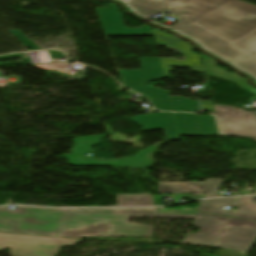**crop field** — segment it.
I'll return each instance as SVG.
<instances>
[{
  "label": "crop field",
  "instance_id": "8a807250",
  "mask_svg": "<svg viewBox=\"0 0 256 256\" xmlns=\"http://www.w3.org/2000/svg\"><path fill=\"white\" fill-rule=\"evenodd\" d=\"M148 18L158 12L177 15L172 28L256 76V6L240 0H131Z\"/></svg>",
  "mask_w": 256,
  "mask_h": 256
},
{
  "label": "crop field",
  "instance_id": "ac0d7876",
  "mask_svg": "<svg viewBox=\"0 0 256 256\" xmlns=\"http://www.w3.org/2000/svg\"><path fill=\"white\" fill-rule=\"evenodd\" d=\"M128 216L194 218V216L157 214L155 211L68 212L57 236L151 237V227L128 223L126 222Z\"/></svg>",
  "mask_w": 256,
  "mask_h": 256
},
{
  "label": "crop field",
  "instance_id": "34b2d1b8",
  "mask_svg": "<svg viewBox=\"0 0 256 256\" xmlns=\"http://www.w3.org/2000/svg\"><path fill=\"white\" fill-rule=\"evenodd\" d=\"M155 208H93V209H48L18 207L14 211L0 207V231L35 235L55 236L67 210H121Z\"/></svg>",
  "mask_w": 256,
  "mask_h": 256
},
{
  "label": "crop field",
  "instance_id": "412701ff",
  "mask_svg": "<svg viewBox=\"0 0 256 256\" xmlns=\"http://www.w3.org/2000/svg\"><path fill=\"white\" fill-rule=\"evenodd\" d=\"M104 134L81 137L73 139L75 145L70 154L65 155L69 164L73 166H123L139 167L148 169L151 165L149 155L154 147L148 146L142 151H138L135 157H123L119 160H97L92 147L101 143ZM91 153L92 156L86 157L85 154Z\"/></svg>",
  "mask_w": 256,
  "mask_h": 256
},
{
  "label": "crop field",
  "instance_id": "f4fd0767",
  "mask_svg": "<svg viewBox=\"0 0 256 256\" xmlns=\"http://www.w3.org/2000/svg\"><path fill=\"white\" fill-rule=\"evenodd\" d=\"M143 71L121 70L126 86L142 93L153 107L159 110L173 111L169 96L165 90H157L147 86V81L163 78L164 73L157 58H140Z\"/></svg>",
  "mask_w": 256,
  "mask_h": 256
},
{
  "label": "crop field",
  "instance_id": "dd49c442",
  "mask_svg": "<svg viewBox=\"0 0 256 256\" xmlns=\"http://www.w3.org/2000/svg\"><path fill=\"white\" fill-rule=\"evenodd\" d=\"M80 239L26 236L0 233V251L10 248L11 256H55L62 246H73Z\"/></svg>",
  "mask_w": 256,
  "mask_h": 256
},
{
  "label": "crop field",
  "instance_id": "e52e79f7",
  "mask_svg": "<svg viewBox=\"0 0 256 256\" xmlns=\"http://www.w3.org/2000/svg\"><path fill=\"white\" fill-rule=\"evenodd\" d=\"M153 33L157 45L177 51L186 59L185 61L171 58L160 59L166 77L172 71V66L192 68V72L205 74L201 56L194 54L192 52L193 48L188 43L182 42L158 30H153Z\"/></svg>",
  "mask_w": 256,
  "mask_h": 256
},
{
  "label": "crop field",
  "instance_id": "d8731c3e",
  "mask_svg": "<svg viewBox=\"0 0 256 256\" xmlns=\"http://www.w3.org/2000/svg\"><path fill=\"white\" fill-rule=\"evenodd\" d=\"M214 106L221 133L256 138L254 113L231 107Z\"/></svg>",
  "mask_w": 256,
  "mask_h": 256
},
{
  "label": "crop field",
  "instance_id": "5a996713",
  "mask_svg": "<svg viewBox=\"0 0 256 256\" xmlns=\"http://www.w3.org/2000/svg\"><path fill=\"white\" fill-rule=\"evenodd\" d=\"M256 238V222L229 218L215 247L247 250Z\"/></svg>",
  "mask_w": 256,
  "mask_h": 256
},
{
  "label": "crop field",
  "instance_id": "3316defc",
  "mask_svg": "<svg viewBox=\"0 0 256 256\" xmlns=\"http://www.w3.org/2000/svg\"><path fill=\"white\" fill-rule=\"evenodd\" d=\"M226 220V217L197 213L191 225L199 228V233H186L181 243L213 247Z\"/></svg>",
  "mask_w": 256,
  "mask_h": 256
},
{
  "label": "crop field",
  "instance_id": "28ad6ade",
  "mask_svg": "<svg viewBox=\"0 0 256 256\" xmlns=\"http://www.w3.org/2000/svg\"><path fill=\"white\" fill-rule=\"evenodd\" d=\"M105 35H153L148 26L142 28L125 27L118 8L110 4L109 7L96 9Z\"/></svg>",
  "mask_w": 256,
  "mask_h": 256
},
{
  "label": "crop field",
  "instance_id": "d1516ede",
  "mask_svg": "<svg viewBox=\"0 0 256 256\" xmlns=\"http://www.w3.org/2000/svg\"><path fill=\"white\" fill-rule=\"evenodd\" d=\"M180 135L214 136L219 135L214 116H197L196 114L174 113Z\"/></svg>",
  "mask_w": 256,
  "mask_h": 256
},
{
  "label": "crop field",
  "instance_id": "22f410ed",
  "mask_svg": "<svg viewBox=\"0 0 256 256\" xmlns=\"http://www.w3.org/2000/svg\"><path fill=\"white\" fill-rule=\"evenodd\" d=\"M142 127V131L163 129L168 140L178 138L172 113H153L128 117Z\"/></svg>",
  "mask_w": 256,
  "mask_h": 256
},
{
  "label": "crop field",
  "instance_id": "cbeb9de0",
  "mask_svg": "<svg viewBox=\"0 0 256 256\" xmlns=\"http://www.w3.org/2000/svg\"><path fill=\"white\" fill-rule=\"evenodd\" d=\"M206 75L221 77L232 82L238 83L242 88L249 87L248 82L237 74H231L228 71L217 66V62H214L206 57L202 56Z\"/></svg>",
  "mask_w": 256,
  "mask_h": 256
},
{
  "label": "crop field",
  "instance_id": "5142ce71",
  "mask_svg": "<svg viewBox=\"0 0 256 256\" xmlns=\"http://www.w3.org/2000/svg\"><path fill=\"white\" fill-rule=\"evenodd\" d=\"M222 179H206L205 182H188L187 193H206L205 197H216Z\"/></svg>",
  "mask_w": 256,
  "mask_h": 256
},
{
  "label": "crop field",
  "instance_id": "d9b57169",
  "mask_svg": "<svg viewBox=\"0 0 256 256\" xmlns=\"http://www.w3.org/2000/svg\"><path fill=\"white\" fill-rule=\"evenodd\" d=\"M255 197H240L236 210L231 214L232 217L256 220V202Z\"/></svg>",
  "mask_w": 256,
  "mask_h": 256
},
{
  "label": "crop field",
  "instance_id": "733c2abd",
  "mask_svg": "<svg viewBox=\"0 0 256 256\" xmlns=\"http://www.w3.org/2000/svg\"><path fill=\"white\" fill-rule=\"evenodd\" d=\"M236 198H221V199H211L203 200L198 211L211 212L221 215L230 216L232 210H222L224 205H233Z\"/></svg>",
  "mask_w": 256,
  "mask_h": 256
},
{
  "label": "crop field",
  "instance_id": "4a817a6b",
  "mask_svg": "<svg viewBox=\"0 0 256 256\" xmlns=\"http://www.w3.org/2000/svg\"><path fill=\"white\" fill-rule=\"evenodd\" d=\"M118 206L152 205L150 194L116 195Z\"/></svg>",
  "mask_w": 256,
  "mask_h": 256
},
{
  "label": "crop field",
  "instance_id": "bc2a9ffb",
  "mask_svg": "<svg viewBox=\"0 0 256 256\" xmlns=\"http://www.w3.org/2000/svg\"><path fill=\"white\" fill-rule=\"evenodd\" d=\"M170 98H171L174 111L196 112L197 110H200L199 104L197 101L180 98V97H174V96H171ZM177 99H179V101ZM195 105L197 107H195Z\"/></svg>",
  "mask_w": 256,
  "mask_h": 256
},
{
  "label": "crop field",
  "instance_id": "214f88e0",
  "mask_svg": "<svg viewBox=\"0 0 256 256\" xmlns=\"http://www.w3.org/2000/svg\"><path fill=\"white\" fill-rule=\"evenodd\" d=\"M158 193H186V182H159Z\"/></svg>",
  "mask_w": 256,
  "mask_h": 256
},
{
  "label": "crop field",
  "instance_id": "92a150f3",
  "mask_svg": "<svg viewBox=\"0 0 256 256\" xmlns=\"http://www.w3.org/2000/svg\"><path fill=\"white\" fill-rule=\"evenodd\" d=\"M200 102H201V105H202V109L204 111H208L209 113H214L215 114L212 101H200Z\"/></svg>",
  "mask_w": 256,
  "mask_h": 256
},
{
  "label": "crop field",
  "instance_id": "dafd665d",
  "mask_svg": "<svg viewBox=\"0 0 256 256\" xmlns=\"http://www.w3.org/2000/svg\"><path fill=\"white\" fill-rule=\"evenodd\" d=\"M246 90H248V91H250V92L256 94V90H255L254 88H252V87L246 88Z\"/></svg>",
  "mask_w": 256,
  "mask_h": 256
}]
</instances>
